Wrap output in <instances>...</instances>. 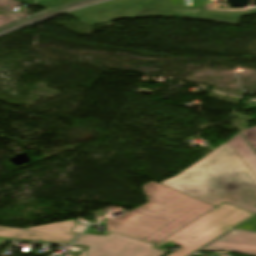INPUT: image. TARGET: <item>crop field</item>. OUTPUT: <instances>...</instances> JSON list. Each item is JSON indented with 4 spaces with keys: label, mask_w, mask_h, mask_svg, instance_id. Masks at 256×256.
Listing matches in <instances>:
<instances>
[{
    "label": "crop field",
    "mask_w": 256,
    "mask_h": 256,
    "mask_svg": "<svg viewBox=\"0 0 256 256\" xmlns=\"http://www.w3.org/2000/svg\"><path fill=\"white\" fill-rule=\"evenodd\" d=\"M202 251H228L256 256V234L232 232Z\"/></svg>",
    "instance_id": "7"
},
{
    "label": "crop field",
    "mask_w": 256,
    "mask_h": 256,
    "mask_svg": "<svg viewBox=\"0 0 256 256\" xmlns=\"http://www.w3.org/2000/svg\"><path fill=\"white\" fill-rule=\"evenodd\" d=\"M205 10H212V11H229V12H244L246 11L245 9H237V10H232V9H224V8H209L205 7ZM256 9V8H255ZM252 10V9H251Z\"/></svg>",
    "instance_id": "12"
},
{
    "label": "crop field",
    "mask_w": 256,
    "mask_h": 256,
    "mask_svg": "<svg viewBox=\"0 0 256 256\" xmlns=\"http://www.w3.org/2000/svg\"><path fill=\"white\" fill-rule=\"evenodd\" d=\"M89 24L136 16L173 17L168 0H113L68 13Z\"/></svg>",
    "instance_id": "4"
},
{
    "label": "crop field",
    "mask_w": 256,
    "mask_h": 256,
    "mask_svg": "<svg viewBox=\"0 0 256 256\" xmlns=\"http://www.w3.org/2000/svg\"><path fill=\"white\" fill-rule=\"evenodd\" d=\"M76 245L89 246L85 256H163L155 243L109 232L108 236L82 234Z\"/></svg>",
    "instance_id": "5"
},
{
    "label": "crop field",
    "mask_w": 256,
    "mask_h": 256,
    "mask_svg": "<svg viewBox=\"0 0 256 256\" xmlns=\"http://www.w3.org/2000/svg\"><path fill=\"white\" fill-rule=\"evenodd\" d=\"M79 0H50L49 2L44 0H38L36 5L37 7H44V8H53L59 5L75 2Z\"/></svg>",
    "instance_id": "9"
},
{
    "label": "crop field",
    "mask_w": 256,
    "mask_h": 256,
    "mask_svg": "<svg viewBox=\"0 0 256 256\" xmlns=\"http://www.w3.org/2000/svg\"><path fill=\"white\" fill-rule=\"evenodd\" d=\"M216 2L217 1L209 0L206 6L217 7V5H222V4H216Z\"/></svg>",
    "instance_id": "14"
},
{
    "label": "crop field",
    "mask_w": 256,
    "mask_h": 256,
    "mask_svg": "<svg viewBox=\"0 0 256 256\" xmlns=\"http://www.w3.org/2000/svg\"><path fill=\"white\" fill-rule=\"evenodd\" d=\"M242 138L238 134L228 142L256 174V154Z\"/></svg>",
    "instance_id": "8"
},
{
    "label": "crop field",
    "mask_w": 256,
    "mask_h": 256,
    "mask_svg": "<svg viewBox=\"0 0 256 256\" xmlns=\"http://www.w3.org/2000/svg\"><path fill=\"white\" fill-rule=\"evenodd\" d=\"M242 133L245 135V137L256 150V126L245 131H242Z\"/></svg>",
    "instance_id": "11"
},
{
    "label": "crop field",
    "mask_w": 256,
    "mask_h": 256,
    "mask_svg": "<svg viewBox=\"0 0 256 256\" xmlns=\"http://www.w3.org/2000/svg\"><path fill=\"white\" fill-rule=\"evenodd\" d=\"M162 184L215 206L226 201L256 213V175L228 142Z\"/></svg>",
    "instance_id": "1"
},
{
    "label": "crop field",
    "mask_w": 256,
    "mask_h": 256,
    "mask_svg": "<svg viewBox=\"0 0 256 256\" xmlns=\"http://www.w3.org/2000/svg\"><path fill=\"white\" fill-rule=\"evenodd\" d=\"M253 214L224 202L154 247L173 243L182 247L168 256H187Z\"/></svg>",
    "instance_id": "3"
},
{
    "label": "crop field",
    "mask_w": 256,
    "mask_h": 256,
    "mask_svg": "<svg viewBox=\"0 0 256 256\" xmlns=\"http://www.w3.org/2000/svg\"><path fill=\"white\" fill-rule=\"evenodd\" d=\"M171 6H185L184 0H169Z\"/></svg>",
    "instance_id": "13"
},
{
    "label": "crop field",
    "mask_w": 256,
    "mask_h": 256,
    "mask_svg": "<svg viewBox=\"0 0 256 256\" xmlns=\"http://www.w3.org/2000/svg\"><path fill=\"white\" fill-rule=\"evenodd\" d=\"M78 220L27 229L0 227V237L30 239L71 244L79 235L72 233Z\"/></svg>",
    "instance_id": "6"
},
{
    "label": "crop field",
    "mask_w": 256,
    "mask_h": 256,
    "mask_svg": "<svg viewBox=\"0 0 256 256\" xmlns=\"http://www.w3.org/2000/svg\"><path fill=\"white\" fill-rule=\"evenodd\" d=\"M234 229H244L256 232V216L236 226Z\"/></svg>",
    "instance_id": "10"
},
{
    "label": "crop field",
    "mask_w": 256,
    "mask_h": 256,
    "mask_svg": "<svg viewBox=\"0 0 256 256\" xmlns=\"http://www.w3.org/2000/svg\"><path fill=\"white\" fill-rule=\"evenodd\" d=\"M18 1H22V2H24L26 4L33 5L35 0H18Z\"/></svg>",
    "instance_id": "15"
},
{
    "label": "crop field",
    "mask_w": 256,
    "mask_h": 256,
    "mask_svg": "<svg viewBox=\"0 0 256 256\" xmlns=\"http://www.w3.org/2000/svg\"><path fill=\"white\" fill-rule=\"evenodd\" d=\"M142 187L149 202L107 221L108 231L157 243L215 207L153 181Z\"/></svg>",
    "instance_id": "2"
}]
</instances>
